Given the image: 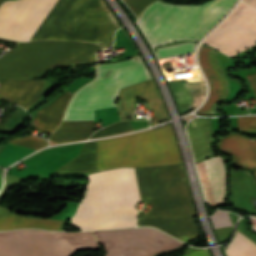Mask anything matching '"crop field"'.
I'll list each match as a JSON object with an SVG mask.
<instances>
[{
	"label": "crop field",
	"instance_id": "8a807250",
	"mask_svg": "<svg viewBox=\"0 0 256 256\" xmlns=\"http://www.w3.org/2000/svg\"><path fill=\"white\" fill-rule=\"evenodd\" d=\"M140 198L150 203L137 226H155L188 243L199 235L182 165L135 168ZM135 170L121 167L88 174V183L70 223L80 230L131 227L140 200Z\"/></svg>",
	"mask_w": 256,
	"mask_h": 256
},
{
	"label": "crop field",
	"instance_id": "ac0d7876",
	"mask_svg": "<svg viewBox=\"0 0 256 256\" xmlns=\"http://www.w3.org/2000/svg\"><path fill=\"white\" fill-rule=\"evenodd\" d=\"M57 0H10L0 6V37L29 41ZM119 27L102 0H58L30 41L76 40L113 44Z\"/></svg>",
	"mask_w": 256,
	"mask_h": 256
},
{
	"label": "crop field",
	"instance_id": "34b2d1b8",
	"mask_svg": "<svg viewBox=\"0 0 256 256\" xmlns=\"http://www.w3.org/2000/svg\"><path fill=\"white\" fill-rule=\"evenodd\" d=\"M235 1L212 0L199 6L156 1L142 13L139 24L153 45L184 38L199 41Z\"/></svg>",
	"mask_w": 256,
	"mask_h": 256
},
{
	"label": "crop field",
	"instance_id": "412701ff",
	"mask_svg": "<svg viewBox=\"0 0 256 256\" xmlns=\"http://www.w3.org/2000/svg\"><path fill=\"white\" fill-rule=\"evenodd\" d=\"M180 157L170 124L97 141V171L121 166L182 164Z\"/></svg>",
	"mask_w": 256,
	"mask_h": 256
},
{
	"label": "crop field",
	"instance_id": "f4fd0767",
	"mask_svg": "<svg viewBox=\"0 0 256 256\" xmlns=\"http://www.w3.org/2000/svg\"><path fill=\"white\" fill-rule=\"evenodd\" d=\"M97 45L34 41L16 45L0 57V78H41L59 66L95 60Z\"/></svg>",
	"mask_w": 256,
	"mask_h": 256
},
{
	"label": "crop field",
	"instance_id": "dd49c442",
	"mask_svg": "<svg viewBox=\"0 0 256 256\" xmlns=\"http://www.w3.org/2000/svg\"><path fill=\"white\" fill-rule=\"evenodd\" d=\"M146 69L139 56L98 65L96 78L76 92L63 121L94 120V110L115 106L120 88L150 79Z\"/></svg>",
	"mask_w": 256,
	"mask_h": 256
},
{
	"label": "crop field",
	"instance_id": "e52e79f7",
	"mask_svg": "<svg viewBox=\"0 0 256 256\" xmlns=\"http://www.w3.org/2000/svg\"><path fill=\"white\" fill-rule=\"evenodd\" d=\"M80 249H99L91 232L36 229L0 232V256H71Z\"/></svg>",
	"mask_w": 256,
	"mask_h": 256
},
{
	"label": "crop field",
	"instance_id": "d8731c3e",
	"mask_svg": "<svg viewBox=\"0 0 256 256\" xmlns=\"http://www.w3.org/2000/svg\"><path fill=\"white\" fill-rule=\"evenodd\" d=\"M103 246L105 256H152L182 243L155 229L137 228L93 232Z\"/></svg>",
	"mask_w": 256,
	"mask_h": 256
},
{
	"label": "crop field",
	"instance_id": "5a996713",
	"mask_svg": "<svg viewBox=\"0 0 256 256\" xmlns=\"http://www.w3.org/2000/svg\"><path fill=\"white\" fill-rule=\"evenodd\" d=\"M256 10L240 2L232 14L203 42L231 57L256 44Z\"/></svg>",
	"mask_w": 256,
	"mask_h": 256
},
{
	"label": "crop field",
	"instance_id": "3316defc",
	"mask_svg": "<svg viewBox=\"0 0 256 256\" xmlns=\"http://www.w3.org/2000/svg\"><path fill=\"white\" fill-rule=\"evenodd\" d=\"M216 50L202 45L198 61L208 79L210 93L205 104L197 113L212 115L217 105L227 96V82L216 61Z\"/></svg>",
	"mask_w": 256,
	"mask_h": 256
},
{
	"label": "crop field",
	"instance_id": "28ad6ade",
	"mask_svg": "<svg viewBox=\"0 0 256 256\" xmlns=\"http://www.w3.org/2000/svg\"><path fill=\"white\" fill-rule=\"evenodd\" d=\"M117 98L121 99L122 111L133 110L137 98L146 99L148 108L154 110V118L151 119V125L168 118L165 106L153 79L122 88Z\"/></svg>",
	"mask_w": 256,
	"mask_h": 256
},
{
	"label": "crop field",
	"instance_id": "d1516ede",
	"mask_svg": "<svg viewBox=\"0 0 256 256\" xmlns=\"http://www.w3.org/2000/svg\"><path fill=\"white\" fill-rule=\"evenodd\" d=\"M206 202L212 206L223 203L225 168L222 157L214 156L196 163Z\"/></svg>",
	"mask_w": 256,
	"mask_h": 256
},
{
	"label": "crop field",
	"instance_id": "22f410ed",
	"mask_svg": "<svg viewBox=\"0 0 256 256\" xmlns=\"http://www.w3.org/2000/svg\"><path fill=\"white\" fill-rule=\"evenodd\" d=\"M43 80H0V99L19 104L27 109L42 96Z\"/></svg>",
	"mask_w": 256,
	"mask_h": 256
},
{
	"label": "crop field",
	"instance_id": "cbeb9de0",
	"mask_svg": "<svg viewBox=\"0 0 256 256\" xmlns=\"http://www.w3.org/2000/svg\"><path fill=\"white\" fill-rule=\"evenodd\" d=\"M220 149L234 156L233 164L246 170L254 167L256 176V140H248L239 135L224 137L220 143Z\"/></svg>",
	"mask_w": 256,
	"mask_h": 256
},
{
	"label": "crop field",
	"instance_id": "5142ce71",
	"mask_svg": "<svg viewBox=\"0 0 256 256\" xmlns=\"http://www.w3.org/2000/svg\"><path fill=\"white\" fill-rule=\"evenodd\" d=\"M181 113L197 106L204 95L202 77L167 82Z\"/></svg>",
	"mask_w": 256,
	"mask_h": 256
},
{
	"label": "crop field",
	"instance_id": "d9b57169",
	"mask_svg": "<svg viewBox=\"0 0 256 256\" xmlns=\"http://www.w3.org/2000/svg\"><path fill=\"white\" fill-rule=\"evenodd\" d=\"M187 131L195 161L214 156L209 145L212 142V127L209 119H194L187 125Z\"/></svg>",
	"mask_w": 256,
	"mask_h": 256
},
{
	"label": "crop field",
	"instance_id": "733c2abd",
	"mask_svg": "<svg viewBox=\"0 0 256 256\" xmlns=\"http://www.w3.org/2000/svg\"><path fill=\"white\" fill-rule=\"evenodd\" d=\"M91 172H96V141L84 143L78 156L56 170L50 176Z\"/></svg>",
	"mask_w": 256,
	"mask_h": 256
},
{
	"label": "crop field",
	"instance_id": "4a817a6b",
	"mask_svg": "<svg viewBox=\"0 0 256 256\" xmlns=\"http://www.w3.org/2000/svg\"><path fill=\"white\" fill-rule=\"evenodd\" d=\"M71 96L72 93L67 91L49 106L47 105L48 107L38 111L37 117L32 121V126L49 133L53 132L60 123Z\"/></svg>",
	"mask_w": 256,
	"mask_h": 256
},
{
	"label": "crop field",
	"instance_id": "bc2a9ffb",
	"mask_svg": "<svg viewBox=\"0 0 256 256\" xmlns=\"http://www.w3.org/2000/svg\"><path fill=\"white\" fill-rule=\"evenodd\" d=\"M65 221L23 217L7 213L0 217V230H11L17 228H43L50 230H61Z\"/></svg>",
	"mask_w": 256,
	"mask_h": 256
},
{
	"label": "crop field",
	"instance_id": "214f88e0",
	"mask_svg": "<svg viewBox=\"0 0 256 256\" xmlns=\"http://www.w3.org/2000/svg\"><path fill=\"white\" fill-rule=\"evenodd\" d=\"M93 123L94 121L62 122L49 140L61 143L86 139L92 134Z\"/></svg>",
	"mask_w": 256,
	"mask_h": 256
},
{
	"label": "crop field",
	"instance_id": "92a150f3",
	"mask_svg": "<svg viewBox=\"0 0 256 256\" xmlns=\"http://www.w3.org/2000/svg\"><path fill=\"white\" fill-rule=\"evenodd\" d=\"M228 256H256V245L236 230L233 240L227 245Z\"/></svg>",
	"mask_w": 256,
	"mask_h": 256
},
{
	"label": "crop field",
	"instance_id": "dafd665d",
	"mask_svg": "<svg viewBox=\"0 0 256 256\" xmlns=\"http://www.w3.org/2000/svg\"><path fill=\"white\" fill-rule=\"evenodd\" d=\"M195 47H196V44H193V43L169 46V47L158 49L159 52L156 53V55L158 59L178 56V55L194 52Z\"/></svg>",
	"mask_w": 256,
	"mask_h": 256
},
{
	"label": "crop field",
	"instance_id": "00972430",
	"mask_svg": "<svg viewBox=\"0 0 256 256\" xmlns=\"http://www.w3.org/2000/svg\"><path fill=\"white\" fill-rule=\"evenodd\" d=\"M9 143L29 147L35 150H38L46 145H48L47 140L40 139L33 135H29L27 137H14L12 138Z\"/></svg>",
	"mask_w": 256,
	"mask_h": 256
},
{
	"label": "crop field",
	"instance_id": "a9b5d70f",
	"mask_svg": "<svg viewBox=\"0 0 256 256\" xmlns=\"http://www.w3.org/2000/svg\"><path fill=\"white\" fill-rule=\"evenodd\" d=\"M132 130L133 128L130 125L129 121H122L98 130L97 132H95V134L91 138L112 135V134H117L121 132L132 131Z\"/></svg>",
	"mask_w": 256,
	"mask_h": 256
},
{
	"label": "crop field",
	"instance_id": "4177f3b9",
	"mask_svg": "<svg viewBox=\"0 0 256 256\" xmlns=\"http://www.w3.org/2000/svg\"><path fill=\"white\" fill-rule=\"evenodd\" d=\"M209 217L214 228L232 225L228 214L221 210H216Z\"/></svg>",
	"mask_w": 256,
	"mask_h": 256
},
{
	"label": "crop field",
	"instance_id": "730fd06b",
	"mask_svg": "<svg viewBox=\"0 0 256 256\" xmlns=\"http://www.w3.org/2000/svg\"><path fill=\"white\" fill-rule=\"evenodd\" d=\"M124 1L133 10V12L136 14L138 18L142 10L150 3L154 2L155 0H124Z\"/></svg>",
	"mask_w": 256,
	"mask_h": 256
},
{
	"label": "crop field",
	"instance_id": "eef30255",
	"mask_svg": "<svg viewBox=\"0 0 256 256\" xmlns=\"http://www.w3.org/2000/svg\"><path fill=\"white\" fill-rule=\"evenodd\" d=\"M256 129V116L238 117V130Z\"/></svg>",
	"mask_w": 256,
	"mask_h": 256
},
{
	"label": "crop field",
	"instance_id": "ae1a2a85",
	"mask_svg": "<svg viewBox=\"0 0 256 256\" xmlns=\"http://www.w3.org/2000/svg\"><path fill=\"white\" fill-rule=\"evenodd\" d=\"M254 93L256 94V73L246 76Z\"/></svg>",
	"mask_w": 256,
	"mask_h": 256
},
{
	"label": "crop field",
	"instance_id": "d3111659",
	"mask_svg": "<svg viewBox=\"0 0 256 256\" xmlns=\"http://www.w3.org/2000/svg\"><path fill=\"white\" fill-rule=\"evenodd\" d=\"M184 256H208V255H207L205 249H203V250L187 253Z\"/></svg>",
	"mask_w": 256,
	"mask_h": 256
},
{
	"label": "crop field",
	"instance_id": "750c4746",
	"mask_svg": "<svg viewBox=\"0 0 256 256\" xmlns=\"http://www.w3.org/2000/svg\"><path fill=\"white\" fill-rule=\"evenodd\" d=\"M0 40H2V41H7V42H12V43H19V42H17V41H12V40L3 39V38H0Z\"/></svg>",
	"mask_w": 256,
	"mask_h": 256
},
{
	"label": "crop field",
	"instance_id": "bd1437ed",
	"mask_svg": "<svg viewBox=\"0 0 256 256\" xmlns=\"http://www.w3.org/2000/svg\"><path fill=\"white\" fill-rule=\"evenodd\" d=\"M3 0H0V3L2 2Z\"/></svg>",
	"mask_w": 256,
	"mask_h": 256
}]
</instances>
